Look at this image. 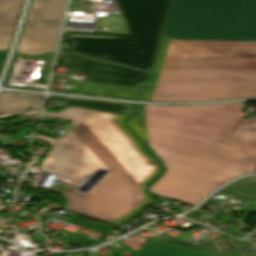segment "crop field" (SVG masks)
<instances>
[{
	"label": "crop field",
	"mask_w": 256,
	"mask_h": 256,
	"mask_svg": "<svg viewBox=\"0 0 256 256\" xmlns=\"http://www.w3.org/2000/svg\"><path fill=\"white\" fill-rule=\"evenodd\" d=\"M243 102L196 106L139 105L128 126L165 172L150 192L194 206L221 184L254 171L256 119Z\"/></svg>",
	"instance_id": "crop-field-1"
},
{
	"label": "crop field",
	"mask_w": 256,
	"mask_h": 256,
	"mask_svg": "<svg viewBox=\"0 0 256 256\" xmlns=\"http://www.w3.org/2000/svg\"><path fill=\"white\" fill-rule=\"evenodd\" d=\"M44 116L80 122L61 141L35 134L33 138L52 145L41 170L80 182L99 168L111 172L86 196L63 185L51 190L66 194L67 210L107 222L135 210L145 197L141 186L155 172L132 140L113 122L117 115L69 108Z\"/></svg>",
	"instance_id": "crop-field-2"
},
{
	"label": "crop field",
	"mask_w": 256,
	"mask_h": 256,
	"mask_svg": "<svg viewBox=\"0 0 256 256\" xmlns=\"http://www.w3.org/2000/svg\"><path fill=\"white\" fill-rule=\"evenodd\" d=\"M140 100L195 102L256 97V43L162 38Z\"/></svg>",
	"instance_id": "crop-field-3"
},
{
	"label": "crop field",
	"mask_w": 256,
	"mask_h": 256,
	"mask_svg": "<svg viewBox=\"0 0 256 256\" xmlns=\"http://www.w3.org/2000/svg\"><path fill=\"white\" fill-rule=\"evenodd\" d=\"M130 35L64 32L71 49L98 59L150 71L171 0H115Z\"/></svg>",
	"instance_id": "crop-field-4"
},
{
	"label": "crop field",
	"mask_w": 256,
	"mask_h": 256,
	"mask_svg": "<svg viewBox=\"0 0 256 256\" xmlns=\"http://www.w3.org/2000/svg\"><path fill=\"white\" fill-rule=\"evenodd\" d=\"M163 33L175 39L256 40V0H173Z\"/></svg>",
	"instance_id": "crop-field-5"
},
{
	"label": "crop field",
	"mask_w": 256,
	"mask_h": 256,
	"mask_svg": "<svg viewBox=\"0 0 256 256\" xmlns=\"http://www.w3.org/2000/svg\"><path fill=\"white\" fill-rule=\"evenodd\" d=\"M55 67H66L67 71L64 75L72 76V74L85 75V80L136 86L141 81H147L153 77L152 74L126 68L110 63H101L95 60L74 55L64 54L56 59Z\"/></svg>",
	"instance_id": "crop-field-6"
},
{
	"label": "crop field",
	"mask_w": 256,
	"mask_h": 256,
	"mask_svg": "<svg viewBox=\"0 0 256 256\" xmlns=\"http://www.w3.org/2000/svg\"><path fill=\"white\" fill-rule=\"evenodd\" d=\"M61 24L25 23L18 52L27 55L54 53Z\"/></svg>",
	"instance_id": "crop-field-7"
},
{
	"label": "crop field",
	"mask_w": 256,
	"mask_h": 256,
	"mask_svg": "<svg viewBox=\"0 0 256 256\" xmlns=\"http://www.w3.org/2000/svg\"><path fill=\"white\" fill-rule=\"evenodd\" d=\"M67 0H33L26 21L62 22Z\"/></svg>",
	"instance_id": "crop-field-8"
},
{
	"label": "crop field",
	"mask_w": 256,
	"mask_h": 256,
	"mask_svg": "<svg viewBox=\"0 0 256 256\" xmlns=\"http://www.w3.org/2000/svg\"><path fill=\"white\" fill-rule=\"evenodd\" d=\"M23 0H0V50H8Z\"/></svg>",
	"instance_id": "crop-field-9"
},
{
	"label": "crop field",
	"mask_w": 256,
	"mask_h": 256,
	"mask_svg": "<svg viewBox=\"0 0 256 256\" xmlns=\"http://www.w3.org/2000/svg\"><path fill=\"white\" fill-rule=\"evenodd\" d=\"M48 100H61L63 106L74 105V106L101 110V111L122 114L127 116L134 115L133 108L135 104L77 99V98H66V97H55V96H48Z\"/></svg>",
	"instance_id": "crop-field-10"
},
{
	"label": "crop field",
	"mask_w": 256,
	"mask_h": 256,
	"mask_svg": "<svg viewBox=\"0 0 256 256\" xmlns=\"http://www.w3.org/2000/svg\"><path fill=\"white\" fill-rule=\"evenodd\" d=\"M132 256H215L158 241H149L140 251Z\"/></svg>",
	"instance_id": "crop-field-11"
},
{
	"label": "crop field",
	"mask_w": 256,
	"mask_h": 256,
	"mask_svg": "<svg viewBox=\"0 0 256 256\" xmlns=\"http://www.w3.org/2000/svg\"><path fill=\"white\" fill-rule=\"evenodd\" d=\"M43 95L19 94L2 92L0 95V107H11L43 103Z\"/></svg>",
	"instance_id": "crop-field-12"
},
{
	"label": "crop field",
	"mask_w": 256,
	"mask_h": 256,
	"mask_svg": "<svg viewBox=\"0 0 256 256\" xmlns=\"http://www.w3.org/2000/svg\"><path fill=\"white\" fill-rule=\"evenodd\" d=\"M43 104L39 105H30V106H20V107H11V108H0V118L1 117H10L23 114L20 118L35 120L41 115V107Z\"/></svg>",
	"instance_id": "crop-field-13"
},
{
	"label": "crop field",
	"mask_w": 256,
	"mask_h": 256,
	"mask_svg": "<svg viewBox=\"0 0 256 256\" xmlns=\"http://www.w3.org/2000/svg\"><path fill=\"white\" fill-rule=\"evenodd\" d=\"M67 85L138 93L140 88L69 79Z\"/></svg>",
	"instance_id": "crop-field-14"
},
{
	"label": "crop field",
	"mask_w": 256,
	"mask_h": 256,
	"mask_svg": "<svg viewBox=\"0 0 256 256\" xmlns=\"http://www.w3.org/2000/svg\"><path fill=\"white\" fill-rule=\"evenodd\" d=\"M161 171H162V168H161V165L159 164V166H157L156 172H155V173L145 182V184L142 186V190H143L144 195H145V197H146V202H145L141 207L137 208L135 211L129 213V214L126 215L125 217H123V218H121V219H118V220H116V221H114V222L108 223V224L118 225V224L125 223V222L129 221V219H130L132 216L136 215L140 210L144 209L146 206H148L149 204H151V203H152L151 195H149V194L145 191V187H146V185H147L150 181H152L153 179H155V178L160 174ZM64 198H65V201H66V203H67V200H66L65 195H64ZM63 209L66 210V209H65V206L63 207ZM66 211H67V210H66ZM87 217H88V216H87ZM90 218H91V217H90ZM92 219H94V218H92ZM95 220H97V219H95ZM99 221H100V220H99ZM102 222H104V221H102ZM106 223H107V222H106Z\"/></svg>",
	"instance_id": "crop-field-15"
},
{
	"label": "crop field",
	"mask_w": 256,
	"mask_h": 256,
	"mask_svg": "<svg viewBox=\"0 0 256 256\" xmlns=\"http://www.w3.org/2000/svg\"><path fill=\"white\" fill-rule=\"evenodd\" d=\"M68 107H74V106H68ZM66 107V108H68ZM65 109V108H64ZM85 109V108H84ZM63 110V109H62ZM60 110V111H62ZM90 110V109H89ZM59 111V112H60ZM45 112H50V111H45ZM57 112V113H59ZM127 116H122V115H118V118L114 121L135 143V145L137 146V148L139 149V151L149 159V161L151 162H157V160H155L154 158L148 156L141 148L139 141L131 134V132L125 127V125L123 124V122H121L123 119H125Z\"/></svg>",
	"instance_id": "crop-field-16"
},
{
	"label": "crop field",
	"mask_w": 256,
	"mask_h": 256,
	"mask_svg": "<svg viewBox=\"0 0 256 256\" xmlns=\"http://www.w3.org/2000/svg\"><path fill=\"white\" fill-rule=\"evenodd\" d=\"M4 55H5V53H0V68H1V65H2V62L4 59Z\"/></svg>",
	"instance_id": "crop-field-17"
},
{
	"label": "crop field",
	"mask_w": 256,
	"mask_h": 256,
	"mask_svg": "<svg viewBox=\"0 0 256 256\" xmlns=\"http://www.w3.org/2000/svg\"><path fill=\"white\" fill-rule=\"evenodd\" d=\"M248 154V153H247ZM252 155V154H251ZM255 156V155H254Z\"/></svg>",
	"instance_id": "crop-field-18"
}]
</instances>
